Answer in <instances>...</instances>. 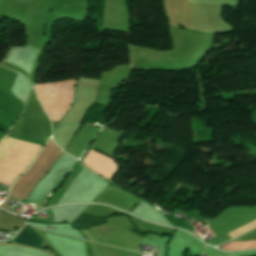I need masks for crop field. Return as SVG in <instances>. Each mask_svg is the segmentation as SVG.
<instances>
[{
    "label": "crop field",
    "mask_w": 256,
    "mask_h": 256,
    "mask_svg": "<svg viewBox=\"0 0 256 256\" xmlns=\"http://www.w3.org/2000/svg\"><path fill=\"white\" fill-rule=\"evenodd\" d=\"M15 242L42 249L41 243L43 241L28 227Z\"/></svg>",
    "instance_id": "1"
},
{
    "label": "crop field",
    "mask_w": 256,
    "mask_h": 256,
    "mask_svg": "<svg viewBox=\"0 0 256 256\" xmlns=\"http://www.w3.org/2000/svg\"><path fill=\"white\" fill-rule=\"evenodd\" d=\"M87 236V235H86ZM88 237V236H87ZM89 238V237H88ZM90 239V238H89Z\"/></svg>",
    "instance_id": "4"
},
{
    "label": "crop field",
    "mask_w": 256,
    "mask_h": 256,
    "mask_svg": "<svg viewBox=\"0 0 256 256\" xmlns=\"http://www.w3.org/2000/svg\"><path fill=\"white\" fill-rule=\"evenodd\" d=\"M227 243H228V242H227ZM227 243H226V244H227ZM224 245H225V244H224ZM222 246H223V245H222ZM220 247H221V246H220ZM220 247H219V248H220ZM220 249H221V248H220ZM229 251H230V250H229Z\"/></svg>",
    "instance_id": "3"
},
{
    "label": "crop field",
    "mask_w": 256,
    "mask_h": 256,
    "mask_svg": "<svg viewBox=\"0 0 256 256\" xmlns=\"http://www.w3.org/2000/svg\"><path fill=\"white\" fill-rule=\"evenodd\" d=\"M90 150H91V149H90ZM92 150H93V149H92ZM94 151H95V150H94ZM89 152H90V151H89ZM89 152H88V154H89ZM96 152H97V151H96ZM98 153H99V152H98ZM88 154H87V155H88ZM86 157H87V156H86ZM86 157H85V159H86ZM85 159H84V160H85ZM84 160H83V161H84ZM113 161H114V160H113ZM114 163H115V162H114ZM115 164H116V163H115ZM84 165H85V164H84ZM116 165H117V164H116ZM85 166H86V165H85ZM117 169H118V167H117ZM115 173H116V172H115ZM115 173L112 175V177L115 175ZM112 177H111V178H112ZM111 178H110V179H111ZM110 179H109V180H110Z\"/></svg>",
    "instance_id": "2"
}]
</instances>
